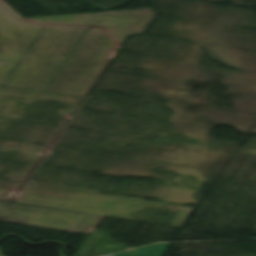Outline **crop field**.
<instances>
[{
  "instance_id": "8a807250",
  "label": "crop field",
  "mask_w": 256,
  "mask_h": 256,
  "mask_svg": "<svg viewBox=\"0 0 256 256\" xmlns=\"http://www.w3.org/2000/svg\"><path fill=\"white\" fill-rule=\"evenodd\" d=\"M2 252H3V251H2V250H0V256H2V255H1V253H2Z\"/></svg>"
}]
</instances>
